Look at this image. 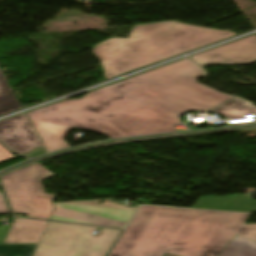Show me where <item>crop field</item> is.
I'll return each mask as SVG.
<instances>
[{"label":"crop field","mask_w":256,"mask_h":256,"mask_svg":"<svg viewBox=\"0 0 256 256\" xmlns=\"http://www.w3.org/2000/svg\"><path fill=\"white\" fill-rule=\"evenodd\" d=\"M204 75L184 59L27 115L47 152L69 147L63 139L73 128L110 138L169 133L182 114L209 110L233 97L196 81Z\"/></svg>","instance_id":"crop-field-1"},{"label":"crop field","mask_w":256,"mask_h":256,"mask_svg":"<svg viewBox=\"0 0 256 256\" xmlns=\"http://www.w3.org/2000/svg\"><path fill=\"white\" fill-rule=\"evenodd\" d=\"M248 214L141 206L108 256H217L236 234L256 241Z\"/></svg>","instance_id":"crop-field-2"},{"label":"crop field","mask_w":256,"mask_h":256,"mask_svg":"<svg viewBox=\"0 0 256 256\" xmlns=\"http://www.w3.org/2000/svg\"><path fill=\"white\" fill-rule=\"evenodd\" d=\"M236 33L177 21L134 25L128 38H110L93 47L106 79L234 36Z\"/></svg>","instance_id":"crop-field-3"},{"label":"crop field","mask_w":256,"mask_h":256,"mask_svg":"<svg viewBox=\"0 0 256 256\" xmlns=\"http://www.w3.org/2000/svg\"><path fill=\"white\" fill-rule=\"evenodd\" d=\"M98 237H92L93 231ZM120 230L49 222L33 256H104Z\"/></svg>","instance_id":"crop-field-4"},{"label":"crop field","mask_w":256,"mask_h":256,"mask_svg":"<svg viewBox=\"0 0 256 256\" xmlns=\"http://www.w3.org/2000/svg\"><path fill=\"white\" fill-rule=\"evenodd\" d=\"M51 176L39 163L1 176L13 213L48 220L56 195L45 193L41 180Z\"/></svg>","instance_id":"crop-field-5"},{"label":"crop field","mask_w":256,"mask_h":256,"mask_svg":"<svg viewBox=\"0 0 256 256\" xmlns=\"http://www.w3.org/2000/svg\"><path fill=\"white\" fill-rule=\"evenodd\" d=\"M104 201L97 204L98 201ZM49 220L122 228L133 209L104 200H85L54 203Z\"/></svg>","instance_id":"crop-field-6"},{"label":"crop field","mask_w":256,"mask_h":256,"mask_svg":"<svg viewBox=\"0 0 256 256\" xmlns=\"http://www.w3.org/2000/svg\"><path fill=\"white\" fill-rule=\"evenodd\" d=\"M202 67L210 64H251L256 62V35L190 57Z\"/></svg>","instance_id":"crop-field-7"},{"label":"crop field","mask_w":256,"mask_h":256,"mask_svg":"<svg viewBox=\"0 0 256 256\" xmlns=\"http://www.w3.org/2000/svg\"><path fill=\"white\" fill-rule=\"evenodd\" d=\"M0 141L19 154L41 145L24 114L0 121Z\"/></svg>","instance_id":"crop-field-8"},{"label":"crop field","mask_w":256,"mask_h":256,"mask_svg":"<svg viewBox=\"0 0 256 256\" xmlns=\"http://www.w3.org/2000/svg\"><path fill=\"white\" fill-rule=\"evenodd\" d=\"M47 223L15 219L3 244L38 243Z\"/></svg>","instance_id":"crop-field-9"},{"label":"crop field","mask_w":256,"mask_h":256,"mask_svg":"<svg viewBox=\"0 0 256 256\" xmlns=\"http://www.w3.org/2000/svg\"><path fill=\"white\" fill-rule=\"evenodd\" d=\"M193 208L256 212V201L238 196L234 198L214 196L198 198Z\"/></svg>","instance_id":"crop-field-10"},{"label":"crop field","mask_w":256,"mask_h":256,"mask_svg":"<svg viewBox=\"0 0 256 256\" xmlns=\"http://www.w3.org/2000/svg\"><path fill=\"white\" fill-rule=\"evenodd\" d=\"M211 112L221 114L228 119L241 118L245 117L244 114L256 113V106L245 99L236 97Z\"/></svg>","instance_id":"crop-field-11"},{"label":"crop field","mask_w":256,"mask_h":256,"mask_svg":"<svg viewBox=\"0 0 256 256\" xmlns=\"http://www.w3.org/2000/svg\"><path fill=\"white\" fill-rule=\"evenodd\" d=\"M218 256H256V242L236 235Z\"/></svg>","instance_id":"crop-field-12"},{"label":"crop field","mask_w":256,"mask_h":256,"mask_svg":"<svg viewBox=\"0 0 256 256\" xmlns=\"http://www.w3.org/2000/svg\"><path fill=\"white\" fill-rule=\"evenodd\" d=\"M15 98L0 71V115L20 109Z\"/></svg>","instance_id":"crop-field-13"},{"label":"crop field","mask_w":256,"mask_h":256,"mask_svg":"<svg viewBox=\"0 0 256 256\" xmlns=\"http://www.w3.org/2000/svg\"><path fill=\"white\" fill-rule=\"evenodd\" d=\"M37 244L0 245V256H32Z\"/></svg>","instance_id":"crop-field-14"},{"label":"crop field","mask_w":256,"mask_h":256,"mask_svg":"<svg viewBox=\"0 0 256 256\" xmlns=\"http://www.w3.org/2000/svg\"><path fill=\"white\" fill-rule=\"evenodd\" d=\"M11 158H14V156L0 145V162Z\"/></svg>","instance_id":"crop-field-15"},{"label":"crop field","mask_w":256,"mask_h":256,"mask_svg":"<svg viewBox=\"0 0 256 256\" xmlns=\"http://www.w3.org/2000/svg\"><path fill=\"white\" fill-rule=\"evenodd\" d=\"M0 214H9L2 193H0Z\"/></svg>","instance_id":"crop-field-16"},{"label":"crop field","mask_w":256,"mask_h":256,"mask_svg":"<svg viewBox=\"0 0 256 256\" xmlns=\"http://www.w3.org/2000/svg\"><path fill=\"white\" fill-rule=\"evenodd\" d=\"M43 153H46V150L44 148V146L24 155V156H28V157H34V156H37V155H40V154H43Z\"/></svg>","instance_id":"crop-field-17"},{"label":"crop field","mask_w":256,"mask_h":256,"mask_svg":"<svg viewBox=\"0 0 256 256\" xmlns=\"http://www.w3.org/2000/svg\"><path fill=\"white\" fill-rule=\"evenodd\" d=\"M10 226H1L0 227V243L2 242V240L4 239L8 229Z\"/></svg>","instance_id":"crop-field-18"}]
</instances>
